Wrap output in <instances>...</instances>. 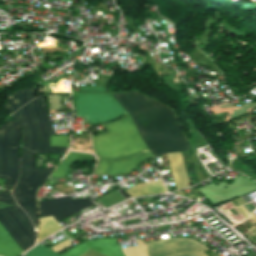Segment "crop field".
<instances>
[{
    "mask_svg": "<svg viewBox=\"0 0 256 256\" xmlns=\"http://www.w3.org/2000/svg\"><path fill=\"white\" fill-rule=\"evenodd\" d=\"M83 92H107L106 87H80Z\"/></svg>",
    "mask_w": 256,
    "mask_h": 256,
    "instance_id": "d9b57169",
    "label": "crop field"
},
{
    "mask_svg": "<svg viewBox=\"0 0 256 256\" xmlns=\"http://www.w3.org/2000/svg\"><path fill=\"white\" fill-rule=\"evenodd\" d=\"M39 204L41 217L53 215L58 222L84 208L93 205V202L89 198L72 200L71 197H67L41 201Z\"/></svg>",
    "mask_w": 256,
    "mask_h": 256,
    "instance_id": "dd49c442",
    "label": "crop field"
},
{
    "mask_svg": "<svg viewBox=\"0 0 256 256\" xmlns=\"http://www.w3.org/2000/svg\"><path fill=\"white\" fill-rule=\"evenodd\" d=\"M138 246L121 249L125 256H148L145 243L142 240L136 241Z\"/></svg>",
    "mask_w": 256,
    "mask_h": 256,
    "instance_id": "d1516ede",
    "label": "crop field"
},
{
    "mask_svg": "<svg viewBox=\"0 0 256 256\" xmlns=\"http://www.w3.org/2000/svg\"><path fill=\"white\" fill-rule=\"evenodd\" d=\"M25 256H59L42 245L31 249Z\"/></svg>",
    "mask_w": 256,
    "mask_h": 256,
    "instance_id": "22f410ed",
    "label": "crop field"
},
{
    "mask_svg": "<svg viewBox=\"0 0 256 256\" xmlns=\"http://www.w3.org/2000/svg\"><path fill=\"white\" fill-rule=\"evenodd\" d=\"M170 164V171L173 176L177 190L188 188L189 182L186 176L183 158L181 153L166 154Z\"/></svg>",
    "mask_w": 256,
    "mask_h": 256,
    "instance_id": "e52e79f7",
    "label": "crop field"
},
{
    "mask_svg": "<svg viewBox=\"0 0 256 256\" xmlns=\"http://www.w3.org/2000/svg\"><path fill=\"white\" fill-rule=\"evenodd\" d=\"M111 95L130 114L153 157L190 148L172 110L136 92ZM111 95L73 93L77 118L85 117L88 122L99 124L126 114ZM130 116L126 114L127 118L104 125L106 133L92 136L96 155L116 160L148 151ZM153 157L148 152L120 161L99 159L94 175L113 177L129 174L140 163Z\"/></svg>",
    "mask_w": 256,
    "mask_h": 256,
    "instance_id": "8a807250",
    "label": "crop field"
},
{
    "mask_svg": "<svg viewBox=\"0 0 256 256\" xmlns=\"http://www.w3.org/2000/svg\"><path fill=\"white\" fill-rule=\"evenodd\" d=\"M21 249L0 224V255L19 256Z\"/></svg>",
    "mask_w": 256,
    "mask_h": 256,
    "instance_id": "d8731c3e",
    "label": "crop field"
},
{
    "mask_svg": "<svg viewBox=\"0 0 256 256\" xmlns=\"http://www.w3.org/2000/svg\"><path fill=\"white\" fill-rule=\"evenodd\" d=\"M23 127L21 177L13 192L18 205L36 225V188L53 169L34 168L35 153H64L66 148L48 147L50 135H55L47 112L44 95L36 97L35 89L15 91L8 95L4 107Z\"/></svg>",
    "mask_w": 256,
    "mask_h": 256,
    "instance_id": "ac0d7876",
    "label": "crop field"
},
{
    "mask_svg": "<svg viewBox=\"0 0 256 256\" xmlns=\"http://www.w3.org/2000/svg\"><path fill=\"white\" fill-rule=\"evenodd\" d=\"M126 192H128L131 195V197H133L138 195L166 192V189L162 181H156L145 184L138 183L135 186L131 187L130 189L126 190Z\"/></svg>",
    "mask_w": 256,
    "mask_h": 256,
    "instance_id": "3316defc",
    "label": "crop field"
},
{
    "mask_svg": "<svg viewBox=\"0 0 256 256\" xmlns=\"http://www.w3.org/2000/svg\"><path fill=\"white\" fill-rule=\"evenodd\" d=\"M149 256H207L206 246L192 239H163L146 243Z\"/></svg>",
    "mask_w": 256,
    "mask_h": 256,
    "instance_id": "f4fd0767",
    "label": "crop field"
},
{
    "mask_svg": "<svg viewBox=\"0 0 256 256\" xmlns=\"http://www.w3.org/2000/svg\"><path fill=\"white\" fill-rule=\"evenodd\" d=\"M69 136H51L49 146L68 147Z\"/></svg>",
    "mask_w": 256,
    "mask_h": 256,
    "instance_id": "cbeb9de0",
    "label": "crop field"
},
{
    "mask_svg": "<svg viewBox=\"0 0 256 256\" xmlns=\"http://www.w3.org/2000/svg\"><path fill=\"white\" fill-rule=\"evenodd\" d=\"M0 223L22 250L29 248L34 243V228L25 212L19 206L0 209Z\"/></svg>",
    "mask_w": 256,
    "mask_h": 256,
    "instance_id": "412701ff",
    "label": "crop field"
},
{
    "mask_svg": "<svg viewBox=\"0 0 256 256\" xmlns=\"http://www.w3.org/2000/svg\"><path fill=\"white\" fill-rule=\"evenodd\" d=\"M20 135V124L16 120L0 127V177L6 178L5 188L14 187L19 175Z\"/></svg>",
    "mask_w": 256,
    "mask_h": 256,
    "instance_id": "34b2d1b8",
    "label": "crop field"
},
{
    "mask_svg": "<svg viewBox=\"0 0 256 256\" xmlns=\"http://www.w3.org/2000/svg\"><path fill=\"white\" fill-rule=\"evenodd\" d=\"M0 202H5V203H9L11 205H15L12 197L10 196V191L0 192Z\"/></svg>",
    "mask_w": 256,
    "mask_h": 256,
    "instance_id": "5142ce71",
    "label": "crop field"
},
{
    "mask_svg": "<svg viewBox=\"0 0 256 256\" xmlns=\"http://www.w3.org/2000/svg\"><path fill=\"white\" fill-rule=\"evenodd\" d=\"M61 228L63 227L54 220L53 216L41 218L38 242L41 241L44 237L54 233Z\"/></svg>",
    "mask_w": 256,
    "mask_h": 256,
    "instance_id": "28ad6ade",
    "label": "crop field"
},
{
    "mask_svg": "<svg viewBox=\"0 0 256 256\" xmlns=\"http://www.w3.org/2000/svg\"><path fill=\"white\" fill-rule=\"evenodd\" d=\"M88 253H90V254H92V255H94V256H105V255H103V254H100V253H98V252L92 250V249H90V250L88 251ZM88 253H86V254L83 255V256H92V255H90V254H88Z\"/></svg>",
    "mask_w": 256,
    "mask_h": 256,
    "instance_id": "733c2abd",
    "label": "crop field"
},
{
    "mask_svg": "<svg viewBox=\"0 0 256 256\" xmlns=\"http://www.w3.org/2000/svg\"><path fill=\"white\" fill-rule=\"evenodd\" d=\"M67 157V156H66ZM74 161H95L90 154L70 152L68 157L58 166L50 177L65 178L66 171Z\"/></svg>",
    "mask_w": 256,
    "mask_h": 256,
    "instance_id": "5a996713",
    "label": "crop field"
}]
</instances>
